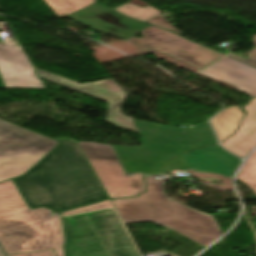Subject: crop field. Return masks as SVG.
<instances>
[{"label":"crop field","mask_w":256,"mask_h":256,"mask_svg":"<svg viewBox=\"0 0 256 256\" xmlns=\"http://www.w3.org/2000/svg\"><path fill=\"white\" fill-rule=\"evenodd\" d=\"M43 79L108 103L106 122L116 127L142 133L145 147H116V151L127 172H142L155 168L161 161L180 153V148L192 132L180 128L141 122L122 114L121 107L128 95L113 80L98 83L78 84L57 75L35 68Z\"/></svg>","instance_id":"obj_2"},{"label":"crop field","mask_w":256,"mask_h":256,"mask_svg":"<svg viewBox=\"0 0 256 256\" xmlns=\"http://www.w3.org/2000/svg\"><path fill=\"white\" fill-rule=\"evenodd\" d=\"M58 16L75 13L96 0H44Z\"/></svg>","instance_id":"obj_17"},{"label":"crop field","mask_w":256,"mask_h":256,"mask_svg":"<svg viewBox=\"0 0 256 256\" xmlns=\"http://www.w3.org/2000/svg\"><path fill=\"white\" fill-rule=\"evenodd\" d=\"M200 73L230 83L251 97L256 96V69L228 56Z\"/></svg>","instance_id":"obj_13"},{"label":"crop field","mask_w":256,"mask_h":256,"mask_svg":"<svg viewBox=\"0 0 256 256\" xmlns=\"http://www.w3.org/2000/svg\"><path fill=\"white\" fill-rule=\"evenodd\" d=\"M216 143H217L216 138L209 124L208 123L199 124L196 126L194 131L191 133V135L187 138V140L183 144L181 148V153L191 149L212 145Z\"/></svg>","instance_id":"obj_16"},{"label":"crop field","mask_w":256,"mask_h":256,"mask_svg":"<svg viewBox=\"0 0 256 256\" xmlns=\"http://www.w3.org/2000/svg\"><path fill=\"white\" fill-rule=\"evenodd\" d=\"M8 256H55V253H54V250H50V251L15 254V255H8Z\"/></svg>","instance_id":"obj_24"},{"label":"crop field","mask_w":256,"mask_h":256,"mask_svg":"<svg viewBox=\"0 0 256 256\" xmlns=\"http://www.w3.org/2000/svg\"><path fill=\"white\" fill-rule=\"evenodd\" d=\"M78 143L110 198L133 197L145 191L143 175L127 177L111 146Z\"/></svg>","instance_id":"obj_7"},{"label":"crop field","mask_w":256,"mask_h":256,"mask_svg":"<svg viewBox=\"0 0 256 256\" xmlns=\"http://www.w3.org/2000/svg\"><path fill=\"white\" fill-rule=\"evenodd\" d=\"M117 12H120L126 16H130L133 18H136L141 21H148L149 19L153 18L157 14L161 13L154 7L148 5L146 7H140L138 5H135L133 3H126L116 9H114Z\"/></svg>","instance_id":"obj_18"},{"label":"crop field","mask_w":256,"mask_h":256,"mask_svg":"<svg viewBox=\"0 0 256 256\" xmlns=\"http://www.w3.org/2000/svg\"><path fill=\"white\" fill-rule=\"evenodd\" d=\"M253 42L256 46V35H254ZM229 56L256 67V48L253 49L252 51H250L249 53H247V57H245V58H243L239 55H236L234 53L230 54Z\"/></svg>","instance_id":"obj_23"},{"label":"crop field","mask_w":256,"mask_h":256,"mask_svg":"<svg viewBox=\"0 0 256 256\" xmlns=\"http://www.w3.org/2000/svg\"><path fill=\"white\" fill-rule=\"evenodd\" d=\"M244 108L247 111V115L237 133L221 144L229 151L243 158L256 145V98L252 99L250 104Z\"/></svg>","instance_id":"obj_14"},{"label":"crop field","mask_w":256,"mask_h":256,"mask_svg":"<svg viewBox=\"0 0 256 256\" xmlns=\"http://www.w3.org/2000/svg\"><path fill=\"white\" fill-rule=\"evenodd\" d=\"M164 183L165 179L146 176L147 193L112 200L125 224L186 216L185 205L167 197Z\"/></svg>","instance_id":"obj_6"},{"label":"crop field","mask_w":256,"mask_h":256,"mask_svg":"<svg viewBox=\"0 0 256 256\" xmlns=\"http://www.w3.org/2000/svg\"><path fill=\"white\" fill-rule=\"evenodd\" d=\"M141 32L144 38L132 37L128 41L155 48L201 70L224 55L153 25Z\"/></svg>","instance_id":"obj_8"},{"label":"crop field","mask_w":256,"mask_h":256,"mask_svg":"<svg viewBox=\"0 0 256 256\" xmlns=\"http://www.w3.org/2000/svg\"><path fill=\"white\" fill-rule=\"evenodd\" d=\"M44 207L30 210L13 180L0 183V242L7 254L55 249L64 256L61 217Z\"/></svg>","instance_id":"obj_3"},{"label":"crop field","mask_w":256,"mask_h":256,"mask_svg":"<svg viewBox=\"0 0 256 256\" xmlns=\"http://www.w3.org/2000/svg\"><path fill=\"white\" fill-rule=\"evenodd\" d=\"M56 140L61 143L24 176L15 178L29 206L63 211L108 199L77 141Z\"/></svg>","instance_id":"obj_1"},{"label":"crop field","mask_w":256,"mask_h":256,"mask_svg":"<svg viewBox=\"0 0 256 256\" xmlns=\"http://www.w3.org/2000/svg\"><path fill=\"white\" fill-rule=\"evenodd\" d=\"M66 256H141L114 209L64 217Z\"/></svg>","instance_id":"obj_4"},{"label":"crop field","mask_w":256,"mask_h":256,"mask_svg":"<svg viewBox=\"0 0 256 256\" xmlns=\"http://www.w3.org/2000/svg\"><path fill=\"white\" fill-rule=\"evenodd\" d=\"M244 115L239 107H233L223 111L211 120L218 133L220 143L236 131Z\"/></svg>","instance_id":"obj_15"},{"label":"crop field","mask_w":256,"mask_h":256,"mask_svg":"<svg viewBox=\"0 0 256 256\" xmlns=\"http://www.w3.org/2000/svg\"><path fill=\"white\" fill-rule=\"evenodd\" d=\"M66 17L93 30L104 32L125 40L150 25L138 20L127 18L98 3L76 14Z\"/></svg>","instance_id":"obj_9"},{"label":"crop field","mask_w":256,"mask_h":256,"mask_svg":"<svg viewBox=\"0 0 256 256\" xmlns=\"http://www.w3.org/2000/svg\"><path fill=\"white\" fill-rule=\"evenodd\" d=\"M184 168H188V166L181 155L179 157H176L171 160L163 162L162 165L158 169H156L150 173L162 174L169 170L184 169Z\"/></svg>","instance_id":"obj_20"},{"label":"crop field","mask_w":256,"mask_h":256,"mask_svg":"<svg viewBox=\"0 0 256 256\" xmlns=\"http://www.w3.org/2000/svg\"><path fill=\"white\" fill-rule=\"evenodd\" d=\"M58 144L0 121V181L24 175Z\"/></svg>","instance_id":"obj_5"},{"label":"crop field","mask_w":256,"mask_h":256,"mask_svg":"<svg viewBox=\"0 0 256 256\" xmlns=\"http://www.w3.org/2000/svg\"><path fill=\"white\" fill-rule=\"evenodd\" d=\"M189 167L202 172H214L233 178L241 160L219 145L183 154Z\"/></svg>","instance_id":"obj_12"},{"label":"crop field","mask_w":256,"mask_h":256,"mask_svg":"<svg viewBox=\"0 0 256 256\" xmlns=\"http://www.w3.org/2000/svg\"><path fill=\"white\" fill-rule=\"evenodd\" d=\"M252 187H253V189L256 191V183H251L250 184Z\"/></svg>","instance_id":"obj_25"},{"label":"crop field","mask_w":256,"mask_h":256,"mask_svg":"<svg viewBox=\"0 0 256 256\" xmlns=\"http://www.w3.org/2000/svg\"><path fill=\"white\" fill-rule=\"evenodd\" d=\"M237 180L245 183L251 188L247 183L256 182V151L253 152L248 158L245 166L242 168L237 176ZM252 189V188H251ZM254 192V190L252 189ZM255 193V192H254ZM256 195V193H255Z\"/></svg>","instance_id":"obj_19"},{"label":"crop field","mask_w":256,"mask_h":256,"mask_svg":"<svg viewBox=\"0 0 256 256\" xmlns=\"http://www.w3.org/2000/svg\"><path fill=\"white\" fill-rule=\"evenodd\" d=\"M0 75L6 88H44L21 46H0ZM1 77L0 88H5Z\"/></svg>","instance_id":"obj_10"},{"label":"crop field","mask_w":256,"mask_h":256,"mask_svg":"<svg viewBox=\"0 0 256 256\" xmlns=\"http://www.w3.org/2000/svg\"><path fill=\"white\" fill-rule=\"evenodd\" d=\"M147 23H150V24H153V25H156V26H160V27H164V28H167V29H170V30H173V31H176V32L182 34V32H180L175 27H173L170 24V22L162 14H159L158 16L154 17L153 19H151Z\"/></svg>","instance_id":"obj_22"},{"label":"crop field","mask_w":256,"mask_h":256,"mask_svg":"<svg viewBox=\"0 0 256 256\" xmlns=\"http://www.w3.org/2000/svg\"><path fill=\"white\" fill-rule=\"evenodd\" d=\"M0 256H5L4 253L2 252L1 248H0Z\"/></svg>","instance_id":"obj_26"},{"label":"crop field","mask_w":256,"mask_h":256,"mask_svg":"<svg viewBox=\"0 0 256 256\" xmlns=\"http://www.w3.org/2000/svg\"><path fill=\"white\" fill-rule=\"evenodd\" d=\"M107 207H114V204L111 202V200L93 204V205H89V206H85V207H81V208L74 209V210H71L68 212H64L63 215L84 212V211H90V210H95V209H101V208H107Z\"/></svg>","instance_id":"obj_21"},{"label":"crop field","mask_w":256,"mask_h":256,"mask_svg":"<svg viewBox=\"0 0 256 256\" xmlns=\"http://www.w3.org/2000/svg\"><path fill=\"white\" fill-rule=\"evenodd\" d=\"M186 211L187 217L153 222L169 227L205 247L223 234L213 217L193 211L188 207Z\"/></svg>","instance_id":"obj_11"}]
</instances>
